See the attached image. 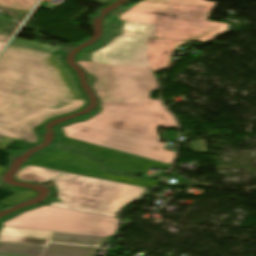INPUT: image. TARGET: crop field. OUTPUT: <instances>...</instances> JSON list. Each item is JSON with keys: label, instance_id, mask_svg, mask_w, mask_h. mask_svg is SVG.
<instances>
[{"label": "crop field", "instance_id": "28ad6ade", "mask_svg": "<svg viewBox=\"0 0 256 256\" xmlns=\"http://www.w3.org/2000/svg\"><path fill=\"white\" fill-rule=\"evenodd\" d=\"M149 49L146 53V59L152 71L165 70L171 63L169 57L180 43L187 44L189 41L148 39Z\"/></svg>", "mask_w": 256, "mask_h": 256}, {"label": "crop field", "instance_id": "00972430", "mask_svg": "<svg viewBox=\"0 0 256 256\" xmlns=\"http://www.w3.org/2000/svg\"><path fill=\"white\" fill-rule=\"evenodd\" d=\"M10 37V34L0 30V41L5 42Z\"/></svg>", "mask_w": 256, "mask_h": 256}, {"label": "crop field", "instance_id": "92a150f3", "mask_svg": "<svg viewBox=\"0 0 256 256\" xmlns=\"http://www.w3.org/2000/svg\"><path fill=\"white\" fill-rule=\"evenodd\" d=\"M31 145L33 144L17 140L15 148L21 149V148L29 147Z\"/></svg>", "mask_w": 256, "mask_h": 256}, {"label": "crop field", "instance_id": "f4fd0767", "mask_svg": "<svg viewBox=\"0 0 256 256\" xmlns=\"http://www.w3.org/2000/svg\"><path fill=\"white\" fill-rule=\"evenodd\" d=\"M105 238L0 227V256H91Z\"/></svg>", "mask_w": 256, "mask_h": 256}, {"label": "crop field", "instance_id": "22f410ed", "mask_svg": "<svg viewBox=\"0 0 256 256\" xmlns=\"http://www.w3.org/2000/svg\"><path fill=\"white\" fill-rule=\"evenodd\" d=\"M61 172L26 165L17 174V179L42 183L58 176Z\"/></svg>", "mask_w": 256, "mask_h": 256}, {"label": "crop field", "instance_id": "730fd06b", "mask_svg": "<svg viewBox=\"0 0 256 256\" xmlns=\"http://www.w3.org/2000/svg\"><path fill=\"white\" fill-rule=\"evenodd\" d=\"M3 45V43L2 42H0V47Z\"/></svg>", "mask_w": 256, "mask_h": 256}, {"label": "crop field", "instance_id": "3316defc", "mask_svg": "<svg viewBox=\"0 0 256 256\" xmlns=\"http://www.w3.org/2000/svg\"><path fill=\"white\" fill-rule=\"evenodd\" d=\"M58 142L81 150L106 164L110 171H144L148 167L169 169L170 165L105 148L84 141L60 136Z\"/></svg>", "mask_w": 256, "mask_h": 256}, {"label": "crop field", "instance_id": "dd49c442", "mask_svg": "<svg viewBox=\"0 0 256 256\" xmlns=\"http://www.w3.org/2000/svg\"><path fill=\"white\" fill-rule=\"evenodd\" d=\"M104 37L82 50L76 60L150 68L145 53L154 25L105 20Z\"/></svg>", "mask_w": 256, "mask_h": 256}, {"label": "crop field", "instance_id": "ac0d7876", "mask_svg": "<svg viewBox=\"0 0 256 256\" xmlns=\"http://www.w3.org/2000/svg\"><path fill=\"white\" fill-rule=\"evenodd\" d=\"M95 76L93 88L103 109L89 121L158 138L157 127L177 128L159 100L150 99L158 88L149 69L78 61ZM159 139V138H158Z\"/></svg>", "mask_w": 256, "mask_h": 256}, {"label": "crop field", "instance_id": "214f88e0", "mask_svg": "<svg viewBox=\"0 0 256 256\" xmlns=\"http://www.w3.org/2000/svg\"><path fill=\"white\" fill-rule=\"evenodd\" d=\"M0 187L4 188L6 190H13V191H24V190H30V189H25V188H19V187H13V186H8L7 184H4L0 182Z\"/></svg>", "mask_w": 256, "mask_h": 256}, {"label": "crop field", "instance_id": "733c2abd", "mask_svg": "<svg viewBox=\"0 0 256 256\" xmlns=\"http://www.w3.org/2000/svg\"><path fill=\"white\" fill-rule=\"evenodd\" d=\"M16 23L10 21L9 19L2 17L0 18V26L4 29H11L14 28Z\"/></svg>", "mask_w": 256, "mask_h": 256}, {"label": "crop field", "instance_id": "cbeb9de0", "mask_svg": "<svg viewBox=\"0 0 256 256\" xmlns=\"http://www.w3.org/2000/svg\"><path fill=\"white\" fill-rule=\"evenodd\" d=\"M10 44H14V45L34 49V50H39V51H43V52H48V53H53L61 48V47H57V46L45 45L43 43L30 41V40H26V39H22V38H18V37H15L10 42Z\"/></svg>", "mask_w": 256, "mask_h": 256}, {"label": "crop field", "instance_id": "a9b5d70f", "mask_svg": "<svg viewBox=\"0 0 256 256\" xmlns=\"http://www.w3.org/2000/svg\"><path fill=\"white\" fill-rule=\"evenodd\" d=\"M8 144H9V139L6 138V137H4V138L2 139V141L0 142V148L3 149V148L6 147Z\"/></svg>", "mask_w": 256, "mask_h": 256}, {"label": "crop field", "instance_id": "8a807250", "mask_svg": "<svg viewBox=\"0 0 256 256\" xmlns=\"http://www.w3.org/2000/svg\"><path fill=\"white\" fill-rule=\"evenodd\" d=\"M65 55L8 44L0 55V135L37 144L35 129L85 107Z\"/></svg>", "mask_w": 256, "mask_h": 256}, {"label": "crop field", "instance_id": "d9b57169", "mask_svg": "<svg viewBox=\"0 0 256 256\" xmlns=\"http://www.w3.org/2000/svg\"><path fill=\"white\" fill-rule=\"evenodd\" d=\"M192 151L206 152L205 139L189 142Z\"/></svg>", "mask_w": 256, "mask_h": 256}, {"label": "crop field", "instance_id": "5a996713", "mask_svg": "<svg viewBox=\"0 0 256 256\" xmlns=\"http://www.w3.org/2000/svg\"><path fill=\"white\" fill-rule=\"evenodd\" d=\"M28 164L149 188L158 183L156 181L104 173L95 162L58 148L49 153L41 152L35 154Z\"/></svg>", "mask_w": 256, "mask_h": 256}, {"label": "crop field", "instance_id": "e52e79f7", "mask_svg": "<svg viewBox=\"0 0 256 256\" xmlns=\"http://www.w3.org/2000/svg\"><path fill=\"white\" fill-rule=\"evenodd\" d=\"M68 137L171 164L174 152L163 150L158 139L123 131L105 125L83 122L63 128Z\"/></svg>", "mask_w": 256, "mask_h": 256}, {"label": "crop field", "instance_id": "dafd665d", "mask_svg": "<svg viewBox=\"0 0 256 256\" xmlns=\"http://www.w3.org/2000/svg\"><path fill=\"white\" fill-rule=\"evenodd\" d=\"M14 193H16V192L6 191L4 189H0V200H2V199L6 198V197H8V196H10V195H12Z\"/></svg>", "mask_w": 256, "mask_h": 256}, {"label": "crop field", "instance_id": "d8731c3e", "mask_svg": "<svg viewBox=\"0 0 256 256\" xmlns=\"http://www.w3.org/2000/svg\"><path fill=\"white\" fill-rule=\"evenodd\" d=\"M116 224L117 219L113 218L42 206L3 225L110 237L116 230Z\"/></svg>", "mask_w": 256, "mask_h": 256}, {"label": "crop field", "instance_id": "4a817a6b", "mask_svg": "<svg viewBox=\"0 0 256 256\" xmlns=\"http://www.w3.org/2000/svg\"><path fill=\"white\" fill-rule=\"evenodd\" d=\"M11 154V152H6L2 149H0V165L7 167L8 165V160H7V156Z\"/></svg>", "mask_w": 256, "mask_h": 256}, {"label": "crop field", "instance_id": "412701ff", "mask_svg": "<svg viewBox=\"0 0 256 256\" xmlns=\"http://www.w3.org/2000/svg\"><path fill=\"white\" fill-rule=\"evenodd\" d=\"M53 182L58 188L57 196L61 202L50 203L49 206L113 218L121 206L146 191L73 174H64Z\"/></svg>", "mask_w": 256, "mask_h": 256}, {"label": "crop field", "instance_id": "d1516ede", "mask_svg": "<svg viewBox=\"0 0 256 256\" xmlns=\"http://www.w3.org/2000/svg\"><path fill=\"white\" fill-rule=\"evenodd\" d=\"M38 0H0V7L16 21L26 16Z\"/></svg>", "mask_w": 256, "mask_h": 256}, {"label": "crop field", "instance_id": "4177f3b9", "mask_svg": "<svg viewBox=\"0 0 256 256\" xmlns=\"http://www.w3.org/2000/svg\"><path fill=\"white\" fill-rule=\"evenodd\" d=\"M5 171L4 168H0V174L3 173Z\"/></svg>", "mask_w": 256, "mask_h": 256}, {"label": "crop field", "instance_id": "34b2d1b8", "mask_svg": "<svg viewBox=\"0 0 256 256\" xmlns=\"http://www.w3.org/2000/svg\"><path fill=\"white\" fill-rule=\"evenodd\" d=\"M216 3L205 0H146L120 15L121 20L155 24V37L205 42L228 25L206 21Z\"/></svg>", "mask_w": 256, "mask_h": 256}, {"label": "crop field", "instance_id": "5142ce71", "mask_svg": "<svg viewBox=\"0 0 256 256\" xmlns=\"http://www.w3.org/2000/svg\"><path fill=\"white\" fill-rule=\"evenodd\" d=\"M35 193L32 191H25V192H18L16 194H14L13 196L1 201L0 203L11 206L15 203H18L22 200H25L27 198H30L32 196H34Z\"/></svg>", "mask_w": 256, "mask_h": 256}, {"label": "crop field", "instance_id": "bc2a9ffb", "mask_svg": "<svg viewBox=\"0 0 256 256\" xmlns=\"http://www.w3.org/2000/svg\"><path fill=\"white\" fill-rule=\"evenodd\" d=\"M15 142L16 140L15 139H11L10 138V144L7 148H5L4 150H7V151H11V152H14L16 154H21L23 151L27 150L28 148L26 149H22V150H16L14 149V146H15ZM34 146V145H33Z\"/></svg>", "mask_w": 256, "mask_h": 256}]
</instances>
